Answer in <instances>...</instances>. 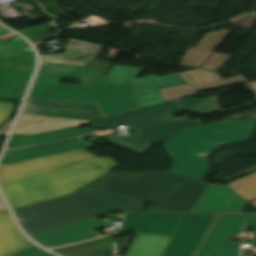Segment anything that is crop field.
Returning a JSON list of instances; mask_svg holds the SVG:
<instances>
[{
  "label": "crop field",
  "instance_id": "8a807250",
  "mask_svg": "<svg viewBox=\"0 0 256 256\" xmlns=\"http://www.w3.org/2000/svg\"><path fill=\"white\" fill-rule=\"evenodd\" d=\"M64 76L84 85L57 84ZM28 97L99 104L104 117L141 108L133 82L121 84L76 64L41 62Z\"/></svg>",
  "mask_w": 256,
  "mask_h": 256
},
{
  "label": "crop field",
  "instance_id": "ac0d7876",
  "mask_svg": "<svg viewBox=\"0 0 256 256\" xmlns=\"http://www.w3.org/2000/svg\"><path fill=\"white\" fill-rule=\"evenodd\" d=\"M183 109L195 112L218 111L217 98L197 100L193 98L171 101L164 104L113 115L92 121V127L108 128L116 125H132L135 137L121 139L118 135L109 136L111 143L143 153L151 143L161 141L175 132L200 125V120H188L187 117L174 120L171 111Z\"/></svg>",
  "mask_w": 256,
  "mask_h": 256
},
{
  "label": "crop field",
  "instance_id": "34b2d1b8",
  "mask_svg": "<svg viewBox=\"0 0 256 256\" xmlns=\"http://www.w3.org/2000/svg\"><path fill=\"white\" fill-rule=\"evenodd\" d=\"M143 208V203L91 190L14 209V212L23 230L30 236L115 209L141 212Z\"/></svg>",
  "mask_w": 256,
  "mask_h": 256
},
{
  "label": "crop field",
  "instance_id": "412701ff",
  "mask_svg": "<svg viewBox=\"0 0 256 256\" xmlns=\"http://www.w3.org/2000/svg\"><path fill=\"white\" fill-rule=\"evenodd\" d=\"M208 184L173 172L110 173L98 188L167 209L191 212Z\"/></svg>",
  "mask_w": 256,
  "mask_h": 256
},
{
  "label": "crop field",
  "instance_id": "f4fd0767",
  "mask_svg": "<svg viewBox=\"0 0 256 256\" xmlns=\"http://www.w3.org/2000/svg\"><path fill=\"white\" fill-rule=\"evenodd\" d=\"M231 122H214L166 140L163 146L174 159L170 171L198 179L207 175L209 163L206 156L209 152L219 144L247 140L256 124L252 120Z\"/></svg>",
  "mask_w": 256,
  "mask_h": 256
},
{
  "label": "crop field",
  "instance_id": "dd49c442",
  "mask_svg": "<svg viewBox=\"0 0 256 256\" xmlns=\"http://www.w3.org/2000/svg\"><path fill=\"white\" fill-rule=\"evenodd\" d=\"M108 158H97L1 187L11 207L69 193L116 167Z\"/></svg>",
  "mask_w": 256,
  "mask_h": 256
},
{
  "label": "crop field",
  "instance_id": "e52e79f7",
  "mask_svg": "<svg viewBox=\"0 0 256 256\" xmlns=\"http://www.w3.org/2000/svg\"><path fill=\"white\" fill-rule=\"evenodd\" d=\"M243 226L256 227V213L219 215L195 256H239L241 244L230 243L226 237L241 236ZM243 246L256 249V237Z\"/></svg>",
  "mask_w": 256,
  "mask_h": 256
},
{
  "label": "crop field",
  "instance_id": "d8731c3e",
  "mask_svg": "<svg viewBox=\"0 0 256 256\" xmlns=\"http://www.w3.org/2000/svg\"><path fill=\"white\" fill-rule=\"evenodd\" d=\"M217 216L183 214L160 256H194Z\"/></svg>",
  "mask_w": 256,
  "mask_h": 256
},
{
  "label": "crop field",
  "instance_id": "5a996713",
  "mask_svg": "<svg viewBox=\"0 0 256 256\" xmlns=\"http://www.w3.org/2000/svg\"><path fill=\"white\" fill-rule=\"evenodd\" d=\"M35 65V55L23 57L16 50L0 55V96L14 98L22 95Z\"/></svg>",
  "mask_w": 256,
  "mask_h": 256
},
{
  "label": "crop field",
  "instance_id": "3316defc",
  "mask_svg": "<svg viewBox=\"0 0 256 256\" xmlns=\"http://www.w3.org/2000/svg\"><path fill=\"white\" fill-rule=\"evenodd\" d=\"M113 224L93 218L62 228L30 236L34 241L46 248L67 245L98 237L93 231Z\"/></svg>",
  "mask_w": 256,
  "mask_h": 256
},
{
  "label": "crop field",
  "instance_id": "28ad6ade",
  "mask_svg": "<svg viewBox=\"0 0 256 256\" xmlns=\"http://www.w3.org/2000/svg\"><path fill=\"white\" fill-rule=\"evenodd\" d=\"M182 214L160 211L125 213L121 229L134 230L137 234L171 236Z\"/></svg>",
  "mask_w": 256,
  "mask_h": 256
},
{
  "label": "crop field",
  "instance_id": "d1516ede",
  "mask_svg": "<svg viewBox=\"0 0 256 256\" xmlns=\"http://www.w3.org/2000/svg\"><path fill=\"white\" fill-rule=\"evenodd\" d=\"M21 113L90 120L100 118L97 105L28 98Z\"/></svg>",
  "mask_w": 256,
  "mask_h": 256
},
{
  "label": "crop field",
  "instance_id": "22f410ed",
  "mask_svg": "<svg viewBox=\"0 0 256 256\" xmlns=\"http://www.w3.org/2000/svg\"><path fill=\"white\" fill-rule=\"evenodd\" d=\"M247 200L227 185L209 184L192 212L229 213L241 212Z\"/></svg>",
  "mask_w": 256,
  "mask_h": 256
},
{
  "label": "crop field",
  "instance_id": "cbeb9de0",
  "mask_svg": "<svg viewBox=\"0 0 256 256\" xmlns=\"http://www.w3.org/2000/svg\"><path fill=\"white\" fill-rule=\"evenodd\" d=\"M143 69L112 66L107 77L115 79L121 83L134 81L137 94H146L160 91V87L171 86L184 83L177 74L158 77L155 75L142 79H137Z\"/></svg>",
  "mask_w": 256,
  "mask_h": 256
},
{
  "label": "crop field",
  "instance_id": "5142ce71",
  "mask_svg": "<svg viewBox=\"0 0 256 256\" xmlns=\"http://www.w3.org/2000/svg\"><path fill=\"white\" fill-rule=\"evenodd\" d=\"M88 121L21 114L12 133L38 134L87 124Z\"/></svg>",
  "mask_w": 256,
  "mask_h": 256
},
{
  "label": "crop field",
  "instance_id": "d9b57169",
  "mask_svg": "<svg viewBox=\"0 0 256 256\" xmlns=\"http://www.w3.org/2000/svg\"><path fill=\"white\" fill-rule=\"evenodd\" d=\"M230 32V30L222 29L206 34L194 48H188L181 63L200 68Z\"/></svg>",
  "mask_w": 256,
  "mask_h": 256
},
{
  "label": "crop field",
  "instance_id": "733c2abd",
  "mask_svg": "<svg viewBox=\"0 0 256 256\" xmlns=\"http://www.w3.org/2000/svg\"><path fill=\"white\" fill-rule=\"evenodd\" d=\"M86 154H90V152L87 151L86 149H83V150H78L74 152L64 153L60 155H55V156H50L46 158H41V159H36L32 161L0 167V177L25 171V170H28V171L35 170L38 168H42V167L59 163L62 161H66L69 159H73Z\"/></svg>",
  "mask_w": 256,
  "mask_h": 256
},
{
  "label": "crop field",
  "instance_id": "4a817a6b",
  "mask_svg": "<svg viewBox=\"0 0 256 256\" xmlns=\"http://www.w3.org/2000/svg\"><path fill=\"white\" fill-rule=\"evenodd\" d=\"M51 251L63 256H105L111 253V240L108 236Z\"/></svg>",
  "mask_w": 256,
  "mask_h": 256
},
{
  "label": "crop field",
  "instance_id": "bc2a9ffb",
  "mask_svg": "<svg viewBox=\"0 0 256 256\" xmlns=\"http://www.w3.org/2000/svg\"><path fill=\"white\" fill-rule=\"evenodd\" d=\"M242 82L243 81L239 77H236V78L191 85V86L183 84V85L163 88L160 90L162 91L165 101L167 102L171 100L180 99L182 96H185V95L195 94L196 92H199V91L228 86V85L242 83Z\"/></svg>",
  "mask_w": 256,
  "mask_h": 256
},
{
  "label": "crop field",
  "instance_id": "214f88e0",
  "mask_svg": "<svg viewBox=\"0 0 256 256\" xmlns=\"http://www.w3.org/2000/svg\"><path fill=\"white\" fill-rule=\"evenodd\" d=\"M169 237L136 235L125 256H159Z\"/></svg>",
  "mask_w": 256,
  "mask_h": 256
},
{
  "label": "crop field",
  "instance_id": "92a150f3",
  "mask_svg": "<svg viewBox=\"0 0 256 256\" xmlns=\"http://www.w3.org/2000/svg\"><path fill=\"white\" fill-rule=\"evenodd\" d=\"M100 49L66 46L64 54L40 55L41 61L81 64L95 58Z\"/></svg>",
  "mask_w": 256,
  "mask_h": 256
},
{
  "label": "crop field",
  "instance_id": "dafd665d",
  "mask_svg": "<svg viewBox=\"0 0 256 256\" xmlns=\"http://www.w3.org/2000/svg\"><path fill=\"white\" fill-rule=\"evenodd\" d=\"M89 131H91V126L81 128V129L71 130V131L55 133L47 136L34 138V139H31L32 135L12 134L6 147H20L24 145L40 143V142L55 140L63 137L76 135V134H81Z\"/></svg>",
  "mask_w": 256,
  "mask_h": 256
},
{
  "label": "crop field",
  "instance_id": "00972430",
  "mask_svg": "<svg viewBox=\"0 0 256 256\" xmlns=\"http://www.w3.org/2000/svg\"><path fill=\"white\" fill-rule=\"evenodd\" d=\"M88 146H91V145L87 142H83V143H78V144H73V145H68V146H63V147H58V148H53V149H48V150H43V151H38V152L8 157V158H3V159H0V166L9 165V164L18 163V162L27 161V160H32V159L41 158V157H46V156H50V155L60 154V153H64V152L74 151V150H78V149H83Z\"/></svg>",
  "mask_w": 256,
  "mask_h": 256
},
{
  "label": "crop field",
  "instance_id": "a9b5d70f",
  "mask_svg": "<svg viewBox=\"0 0 256 256\" xmlns=\"http://www.w3.org/2000/svg\"><path fill=\"white\" fill-rule=\"evenodd\" d=\"M93 158H97V157L94 156L93 154H90V155L79 157V158H76V159H73V160H69V161H66V162H62V163H59V164L48 166V167H45V168H42V169H38V170H35V171H31V172L25 171V172L13 174V175H10V176L2 177V178H0V187L4 186V185H7V184L17 182V181H20V180H23V179H27V178L36 176V175H39V174H43V173H46V172H49V171H53V170H56V169H59V168H63V167L70 166V165H73V164H76V163L87 161V160H90V159H93Z\"/></svg>",
  "mask_w": 256,
  "mask_h": 256
},
{
  "label": "crop field",
  "instance_id": "4177f3b9",
  "mask_svg": "<svg viewBox=\"0 0 256 256\" xmlns=\"http://www.w3.org/2000/svg\"><path fill=\"white\" fill-rule=\"evenodd\" d=\"M83 141H84L83 138L81 136H78V137H72V138L62 139L58 141L43 143V144L31 146V147H25L21 149L5 150L1 158L43 150V149H48V148H53V147H58V146H63V145H68V144H73V143H78V142H83Z\"/></svg>",
  "mask_w": 256,
  "mask_h": 256
},
{
  "label": "crop field",
  "instance_id": "730fd06b",
  "mask_svg": "<svg viewBox=\"0 0 256 256\" xmlns=\"http://www.w3.org/2000/svg\"><path fill=\"white\" fill-rule=\"evenodd\" d=\"M248 201L256 198V176L253 174L227 184Z\"/></svg>",
  "mask_w": 256,
  "mask_h": 256
},
{
  "label": "crop field",
  "instance_id": "eef30255",
  "mask_svg": "<svg viewBox=\"0 0 256 256\" xmlns=\"http://www.w3.org/2000/svg\"><path fill=\"white\" fill-rule=\"evenodd\" d=\"M31 242L24 237L18 229H16L6 240L3 247L0 250V256H6Z\"/></svg>",
  "mask_w": 256,
  "mask_h": 256
},
{
  "label": "crop field",
  "instance_id": "ae1a2a85",
  "mask_svg": "<svg viewBox=\"0 0 256 256\" xmlns=\"http://www.w3.org/2000/svg\"><path fill=\"white\" fill-rule=\"evenodd\" d=\"M178 74L188 85L221 79L218 74L198 70L181 72Z\"/></svg>",
  "mask_w": 256,
  "mask_h": 256
},
{
  "label": "crop field",
  "instance_id": "d3111659",
  "mask_svg": "<svg viewBox=\"0 0 256 256\" xmlns=\"http://www.w3.org/2000/svg\"><path fill=\"white\" fill-rule=\"evenodd\" d=\"M16 228L17 227L8 211L0 214V248L3 245V243L5 242L6 238Z\"/></svg>",
  "mask_w": 256,
  "mask_h": 256
},
{
  "label": "crop field",
  "instance_id": "750c4746",
  "mask_svg": "<svg viewBox=\"0 0 256 256\" xmlns=\"http://www.w3.org/2000/svg\"><path fill=\"white\" fill-rule=\"evenodd\" d=\"M230 57V55L213 52L201 68L217 71Z\"/></svg>",
  "mask_w": 256,
  "mask_h": 256
},
{
  "label": "crop field",
  "instance_id": "bd1437ed",
  "mask_svg": "<svg viewBox=\"0 0 256 256\" xmlns=\"http://www.w3.org/2000/svg\"><path fill=\"white\" fill-rule=\"evenodd\" d=\"M9 256H55L31 244Z\"/></svg>",
  "mask_w": 256,
  "mask_h": 256
},
{
  "label": "crop field",
  "instance_id": "1d83c4d3",
  "mask_svg": "<svg viewBox=\"0 0 256 256\" xmlns=\"http://www.w3.org/2000/svg\"><path fill=\"white\" fill-rule=\"evenodd\" d=\"M28 45V43L21 37H18L14 40H11L7 43L1 44L0 45V54H4L7 52H10L16 48L22 47Z\"/></svg>",
  "mask_w": 256,
  "mask_h": 256
},
{
  "label": "crop field",
  "instance_id": "120bbe31",
  "mask_svg": "<svg viewBox=\"0 0 256 256\" xmlns=\"http://www.w3.org/2000/svg\"><path fill=\"white\" fill-rule=\"evenodd\" d=\"M139 98H140L142 108L165 102L161 92L146 95V96H141Z\"/></svg>",
  "mask_w": 256,
  "mask_h": 256
},
{
  "label": "crop field",
  "instance_id": "d32e631a",
  "mask_svg": "<svg viewBox=\"0 0 256 256\" xmlns=\"http://www.w3.org/2000/svg\"><path fill=\"white\" fill-rule=\"evenodd\" d=\"M14 106L12 103L0 101V124L10 116Z\"/></svg>",
  "mask_w": 256,
  "mask_h": 256
},
{
  "label": "crop field",
  "instance_id": "5866460e",
  "mask_svg": "<svg viewBox=\"0 0 256 256\" xmlns=\"http://www.w3.org/2000/svg\"><path fill=\"white\" fill-rule=\"evenodd\" d=\"M54 28L55 27L53 26V24L49 23V24L40 25V26H36V27H33V28H29V29L19 30V32L24 34V35H29V34H34V33H38V32L51 30V29H54Z\"/></svg>",
  "mask_w": 256,
  "mask_h": 256
},
{
  "label": "crop field",
  "instance_id": "028f5c9d",
  "mask_svg": "<svg viewBox=\"0 0 256 256\" xmlns=\"http://www.w3.org/2000/svg\"><path fill=\"white\" fill-rule=\"evenodd\" d=\"M28 47H29L31 50L26 51L25 49L28 48ZM17 51L20 52L23 56H28V55H33V54H35L34 51H33V49L30 47V45L25 46V47H22V48H19V49H17Z\"/></svg>",
  "mask_w": 256,
  "mask_h": 256
},
{
  "label": "crop field",
  "instance_id": "e1f06a70",
  "mask_svg": "<svg viewBox=\"0 0 256 256\" xmlns=\"http://www.w3.org/2000/svg\"><path fill=\"white\" fill-rule=\"evenodd\" d=\"M13 122V119H11L6 125L0 128V132H8L11 124Z\"/></svg>",
  "mask_w": 256,
  "mask_h": 256
},
{
  "label": "crop field",
  "instance_id": "0bd39190",
  "mask_svg": "<svg viewBox=\"0 0 256 256\" xmlns=\"http://www.w3.org/2000/svg\"><path fill=\"white\" fill-rule=\"evenodd\" d=\"M79 127V126H78ZM78 127H74V128H69V129H64V130H59V131H53V132H48V133H43V134H38V135H33L32 138L34 137H38V136H42V135H47V134H51V133H55V132H60V131H65V130H71V129H76Z\"/></svg>",
  "mask_w": 256,
  "mask_h": 256
},
{
  "label": "crop field",
  "instance_id": "b80d0937",
  "mask_svg": "<svg viewBox=\"0 0 256 256\" xmlns=\"http://www.w3.org/2000/svg\"><path fill=\"white\" fill-rule=\"evenodd\" d=\"M110 133H112V131L108 130V131L98 132V133H96V135L101 136V135L110 134Z\"/></svg>",
  "mask_w": 256,
  "mask_h": 256
},
{
  "label": "crop field",
  "instance_id": "c035e120",
  "mask_svg": "<svg viewBox=\"0 0 256 256\" xmlns=\"http://www.w3.org/2000/svg\"><path fill=\"white\" fill-rule=\"evenodd\" d=\"M6 210L4 203H0V212Z\"/></svg>",
  "mask_w": 256,
  "mask_h": 256
},
{
  "label": "crop field",
  "instance_id": "c21b1889",
  "mask_svg": "<svg viewBox=\"0 0 256 256\" xmlns=\"http://www.w3.org/2000/svg\"><path fill=\"white\" fill-rule=\"evenodd\" d=\"M250 204H252V205L256 208V200H255V201L250 202Z\"/></svg>",
  "mask_w": 256,
  "mask_h": 256
},
{
  "label": "crop field",
  "instance_id": "03da06ac",
  "mask_svg": "<svg viewBox=\"0 0 256 256\" xmlns=\"http://www.w3.org/2000/svg\"><path fill=\"white\" fill-rule=\"evenodd\" d=\"M1 34H4V33L0 31V35H1ZM1 43H4V41H2V40L0 39V44H1Z\"/></svg>",
  "mask_w": 256,
  "mask_h": 256
},
{
  "label": "crop field",
  "instance_id": "b54c1fbb",
  "mask_svg": "<svg viewBox=\"0 0 256 256\" xmlns=\"http://www.w3.org/2000/svg\"><path fill=\"white\" fill-rule=\"evenodd\" d=\"M254 175H256V173H254Z\"/></svg>",
  "mask_w": 256,
  "mask_h": 256
},
{
  "label": "crop field",
  "instance_id": "5d738f31",
  "mask_svg": "<svg viewBox=\"0 0 256 256\" xmlns=\"http://www.w3.org/2000/svg\"><path fill=\"white\" fill-rule=\"evenodd\" d=\"M0 200H1V198H0Z\"/></svg>",
  "mask_w": 256,
  "mask_h": 256
}]
</instances>
